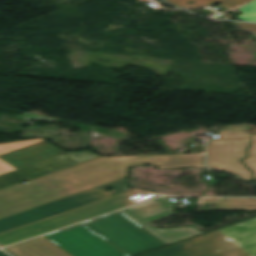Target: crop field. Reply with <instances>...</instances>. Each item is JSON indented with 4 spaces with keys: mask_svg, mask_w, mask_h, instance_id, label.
Returning a JSON list of instances; mask_svg holds the SVG:
<instances>
[{
    "mask_svg": "<svg viewBox=\"0 0 256 256\" xmlns=\"http://www.w3.org/2000/svg\"><path fill=\"white\" fill-rule=\"evenodd\" d=\"M12 170H15V169L0 160V174L6 173Z\"/></svg>",
    "mask_w": 256,
    "mask_h": 256,
    "instance_id": "obj_18",
    "label": "crop field"
},
{
    "mask_svg": "<svg viewBox=\"0 0 256 256\" xmlns=\"http://www.w3.org/2000/svg\"><path fill=\"white\" fill-rule=\"evenodd\" d=\"M43 141L42 139H37V140H30V141H19V142H13L10 144H0V155L9 153L11 151L20 149L22 147L28 146L30 144Z\"/></svg>",
    "mask_w": 256,
    "mask_h": 256,
    "instance_id": "obj_15",
    "label": "crop field"
},
{
    "mask_svg": "<svg viewBox=\"0 0 256 256\" xmlns=\"http://www.w3.org/2000/svg\"><path fill=\"white\" fill-rule=\"evenodd\" d=\"M137 165L205 168V161L204 154L99 157L0 190V218L128 177V169Z\"/></svg>",
    "mask_w": 256,
    "mask_h": 256,
    "instance_id": "obj_1",
    "label": "crop field"
},
{
    "mask_svg": "<svg viewBox=\"0 0 256 256\" xmlns=\"http://www.w3.org/2000/svg\"><path fill=\"white\" fill-rule=\"evenodd\" d=\"M82 224L126 256L165 246L163 242L120 211Z\"/></svg>",
    "mask_w": 256,
    "mask_h": 256,
    "instance_id": "obj_4",
    "label": "crop field"
},
{
    "mask_svg": "<svg viewBox=\"0 0 256 256\" xmlns=\"http://www.w3.org/2000/svg\"><path fill=\"white\" fill-rule=\"evenodd\" d=\"M256 219L191 239L143 256H253Z\"/></svg>",
    "mask_w": 256,
    "mask_h": 256,
    "instance_id": "obj_2",
    "label": "crop field"
},
{
    "mask_svg": "<svg viewBox=\"0 0 256 256\" xmlns=\"http://www.w3.org/2000/svg\"><path fill=\"white\" fill-rule=\"evenodd\" d=\"M235 26L256 34V24L237 23Z\"/></svg>",
    "mask_w": 256,
    "mask_h": 256,
    "instance_id": "obj_17",
    "label": "crop field"
},
{
    "mask_svg": "<svg viewBox=\"0 0 256 256\" xmlns=\"http://www.w3.org/2000/svg\"><path fill=\"white\" fill-rule=\"evenodd\" d=\"M172 5L178 6L180 8H196V7H204L211 4H222L228 8H233L236 6H240L249 2L250 0H193L194 4L188 5L186 4L189 0H165Z\"/></svg>",
    "mask_w": 256,
    "mask_h": 256,
    "instance_id": "obj_13",
    "label": "crop field"
},
{
    "mask_svg": "<svg viewBox=\"0 0 256 256\" xmlns=\"http://www.w3.org/2000/svg\"><path fill=\"white\" fill-rule=\"evenodd\" d=\"M252 136V144L248 150V158L243 160L245 165L254 171V177L256 179V134Z\"/></svg>",
    "mask_w": 256,
    "mask_h": 256,
    "instance_id": "obj_14",
    "label": "crop field"
},
{
    "mask_svg": "<svg viewBox=\"0 0 256 256\" xmlns=\"http://www.w3.org/2000/svg\"><path fill=\"white\" fill-rule=\"evenodd\" d=\"M173 209L174 204L170 201L169 197H162L121 211L146 228L150 233L159 238L166 245L202 233L194 226L161 229L154 228L147 224L154 220L171 215L173 213Z\"/></svg>",
    "mask_w": 256,
    "mask_h": 256,
    "instance_id": "obj_7",
    "label": "crop field"
},
{
    "mask_svg": "<svg viewBox=\"0 0 256 256\" xmlns=\"http://www.w3.org/2000/svg\"><path fill=\"white\" fill-rule=\"evenodd\" d=\"M45 237L72 256H125L82 224Z\"/></svg>",
    "mask_w": 256,
    "mask_h": 256,
    "instance_id": "obj_8",
    "label": "crop field"
},
{
    "mask_svg": "<svg viewBox=\"0 0 256 256\" xmlns=\"http://www.w3.org/2000/svg\"><path fill=\"white\" fill-rule=\"evenodd\" d=\"M6 249L15 256H71L44 236Z\"/></svg>",
    "mask_w": 256,
    "mask_h": 256,
    "instance_id": "obj_11",
    "label": "crop field"
},
{
    "mask_svg": "<svg viewBox=\"0 0 256 256\" xmlns=\"http://www.w3.org/2000/svg\"><path fill=\"white\" fill-rule=\"evenodd\" d=\"M63 153L65 152L43 141L25 149L1 156L0 159L18 169Z\"/></svg>",
    "mask_w": 256,
    "mask_h": 256,
    "instance_id": "obj_10",
    "label": "crop field"
},
{
    "mask_svg": "<svg viewBox=\"0 0 256 256\" xmlns=\"http://www.w3.org/2000/svg\"><path fill=\"white\" fill-rule=\"evenodd\" d=\"M0 256H8V255L0 250Z\"/></svg>",
    "mask_w": 256,
    "mask_h": 256,
    "instance_id": "obj_19",
    "label": "crop field"
},
{
    "mask_svg": "<svg viewBox=\"0 0 256 256\" xmlns=\"http://www.w3.org/2000/svg\"><path fill=\"white\" fill-rule=\"evenodd\" d=\"M99 157L89 151L81 153H66L3 175H0V189L31 180L59 169Z\"/></svg>",
    "mask_w": 256,
    "mask_h": 256,
    "instance_id": "obj_9",
    "label": "crop field"
},
{
    "mask_svg": "<svg viewBox=\"0 0 256 256\" xmlns=\"http://www.w3.org/2000/svg\"><path fill=\"white\" fill-rule=\"evenodd\" d=\"M197 204H217L216 208H203V211L256 210L254 198H218V201H197Z\"/></svg>",
    "mask_w": 256,
    "mask_h": 256,
    "instance_id": "obj_12",
    "label": "crop field"
},
{
    "mask_svg": "<svg viewBox=\"0 0 256 256\" xmlns=\"http://www.w3.org/2000/svg\"><path fill=\"white\" fill-rule=\"evenodd\" d=\"M247 129L248 126L221 129L218 140L209 141L206 146L208 166L231 173L239 179L253 180L252 173L240 161L246 156L245 148L250 142V134L242 131Z\"/></svg>",
    "mask_w": 256,
    "mask_h": 256,
    "instance_id": "obj_5",
    "label": "crop field"
},
{
    "mask_svg": "<svg viewBox=\"0 0 256 256\" xmlns=\"http://www.w3.org/2000/svg\"><path fill=\"white\" fill-rule=\"evenodd\" d=\"M158 197L152 192L133 191L0 234V245H8L76 222Z\"/></svg>",
    "mask_w": 256,
    "mask_h": 256,
    "instance_id": "obj_3",
    "label": "crop field"
},
{
    "mask_svg": "<svg viewBox=\"0 0 256 256\" xmlns=\"http://www.w3.org/2000/svg\"><path fill=\"white\" fill-rule=\"evenodd\" d=\"M240 10L243 12V15L239 16V19L243 21L256 22V0L244 7H241Z\"/></svg>",
    "mask_w": 256,
    "mask_h": 256,
    "instance_id": "obj_16",
    "label": "crop field"
},
{
    "mask_svg": "<svg viewBox=\"0 0 256 256\" xmlns=\"http://www.w3.org/2000/svg\"><path fill=\"white\" fill-rule=\"evenodd\" d=\"M106 187L112 188L113 191L109 193L103 191L102 189ZM98 188L99 190H96V188L94 190L0 219V233L124 193L128 190L126 178Z\"/></svg>",
    "mask_w": 256,
    "mask_h": 256,
    "instance_id": "obj_6",
    "label": "crop field"
}]
</instances>
